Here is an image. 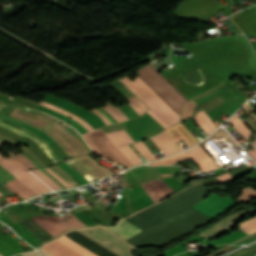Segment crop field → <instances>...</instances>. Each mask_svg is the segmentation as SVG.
Returning <instances> with one entry per match:
<instances>
[{
  "mask_svg": "<svg viewBox=\"0 0 256 256\" xmlns=\"http://www.w3.org/2000/svg\"><path fill=\"white\" fill-rule=\"evenodd\" d=\"M108 229L111 230L113 233L121 236L125 240H127V239H129V238H131V237H133V236L142 232L140 229L133 226L132 224H130L129 222H127L124 219L121 220L118 227L108 228Z\"/></svg>",
  "mask_w": 256,
  "mask_h": 256,
  "instance_id": "crop-field-12",
  "label": "crop field"
},
{
  "mask_svg": "<svg viewBox=\"0 0 256 256\" xmlns=\"http://www.w3.org/2000/svg\"><path fill=\"white\" fill-rule=\"evenodd\" d=\"M254 148L256 149V141L252 142Z\"/></svg>",
  "mask_w": 256,
  "mask_h": 256,
  "instance_id": "crop-field-33",
  "label": "crop field"
},
{
  "mask_svg": "<svg viewBox=\"0 0 256 256\" xmlns=\"http://www.w3.org/2000/svg\"><path fill=\"white\" fill-rule=\"evenodd\" d=\"M0 165L6 169L7 171L11 172L17 179L24 182L27 186L33 189L36 193L41 194L47 191H51V189L41 183L38 179H36L33 175L29 172H26L23 167L17 165L7 157L4 158L0 156ZM23 183V184H24Z\"/></svg>",
  "mask_w": 256,
  "mask_h": 256,
  "instance_id": "crop-field-4",
  "label": "crop field"
},
{
  "mask_svg": "<svg viewBox=\"0 0 256 256\" xmlns=\"http://www.w3.org/2000/svg\"><path fill=\"white\" fill-rule=\"evenodd\" d=\"M0 144H2V142H0Z\"/></svg>",
  "mask_w": 256,
  "mask_h": 256,
  "instance_id": "crop-field-34",
  "label": "crop field"
},
{
  "mask_svg": "<svg viewBox=\"0 0 256 256\" xmlns=\"http://www.w3.org/2000/svg\"><path fill=\"white\" fill-rule=\"evenodd\" d=\"M107 136L116 147L134 142L124 130L108 133Z\"/></svg>",
  "mask_w": 256,
  "mask_h": 256,
  "instance_id": "crop-field-14",
  "label": "crop field"
},
{
  "mask_svg": "<svg viewBox=\"0 0 256 256\" xmlns=\"http://www.w3.org/2000/svg\"><path fill=\"white\" fill-rule=\"evenodd\" d=\"M0 196H2V195L0 194Z\"/></svg>",
  "mask_w": 256,
  "mask_h": 256,
  "instance_id": "crop-field-36",
  "label": "crop field"
},
{
  "mask_svg": "<svg viewBox=\"0 0 256 256\" xmlns=\"http://www.w3.org/2000/svg\"><path fill=\"white\" fill-rule=\"evenodd\" d=\"M256 195V190L250 189L248 187L244 188L243 193L241 194L239 200H237L239 203L249 200L250 198L254 197Z\"/></svg>",
  "mask_w": 256,
  "mask_h": 256,
  "instance_id": "crop-field-26",
  "label": "crop field"
},
{
  "mask_svg": "<svg viewBox=\"0 0 256 256\" xmlns=\"http://www.w3.org/2000/svg\"><path fill=\"white\" fill-rule=\"evenodd\" d=\"M57 180H59L64 186L70 188L67 184H65L58 176H56L50 169L46 168Z\"/></svg>",
  "mask_w": 256,
  "mask_h": 256,
  "instance_id": "crop-field-30",
  "label": "crop field"
},
{
  "mask_svg": "<svg viewBox=\"0 0 256 256\" xmlns=\"http://www.w3.org/2000/svg\"><path fill=\"white\" fill-rule=\"evenodd\" d=\"M50 169L55 172L61 179H63L65 182H67L72 187L80 186L78 182H76L70 175H68L66 172H64L62 169H60L58 166L54 165L50 167Z\"/></svg>",
  "mask_w": 256,
  "mask_h": 256,
  "instance_id": "crop-field-18",
  "label": "crop field"
},
{
  "mask_svg": "<svg viewBox=\"0 0 256 256\" xmlns=\"http://www.w3.org/2000/svg\"><path fill=\"white\" fill-rule=\"evenodd\" d=\"M228 122L231 123L238 130V132L245 138V140H247L249 136L253 133L236 115L229 119Z\"/></svg>",
  "mask_w": 256,
  "mask_h": 256,
  "instance_id": "crop-field-15",
  "label": "crop field"
},
{
  "mask_svg": "<svg viewBox=\"0 0 256 256\" xmlns=\"http://www.w3.org/2000/svg\"><path fill=\"white\" fill-rule=\"evenodd\" d=\"M151 139L165 156L181 152L165 131L155 137H151Z\"/></svg>",
  "mask_w": 256,
  "mask_h": 256,
  "instance_id": "crop-field-9",
  "label": "crop field"
},
{
  "mask_svg": "<svg viewBox=\"0 0 256 256\" xmlns=\"http://www.w3.org/2000/svg\"><path fill=\"white\" fill-rule=\"evenodd\" d=\"M83 231L90 234L99 241L103 242L104 244L108 245L109 247L121 253L122 255L132 256L130 250L134 249L135 247L123 241L122 239L110 233L109 231L101 227L83 229Z\"/></svg>",
  "mask_w": 256,
  "mask_h": 256,
  "instance_id": "crop-field-5",
  "label": "crop field"
},
{
  "mask_svg": "<svg viewBox=\"0 0 256 256\" xmlns=\"http://www.w3.org/2000/svg\"><path fill=\"white\" fill-rule=\"evenodd\" d=\"M131 103L129 105L135 109L140 115L149 110L137 97L128 99Z\"/></svg>",
  "mask_w": 256,
  "mask_h": 256,
  "instance_id": "crop-field-23",
  "label": "crop field"
},
{
  "mask_svg": "<svg viewBox=\"0 0 256 256\" xmlns=\"http://www.w3.org/2000/svg\"><path fill=\"white\" fill-rule=\"evenodd\" d=\"M252 159L256 162V150H246Z\"/></svg>",
  "mask_w": 256,
  "mask_h": 256,
  "instance_id": "crop-field-29",
  "label": "crop field"
},
{
  "mask_svg": "<svg viewBox=\"0 0 256 256\" xmlns=\"http://www.w3.org/2000/svg\"><path fill=\"white\" fill-rule=\"evenodd\" d=\"M78 232H80L81 234L85 235L86 237L90 238L91 240L95 241L96 243L100 244L101 246H103L104 248L108 249L109 251L113 252L114 254L118 255V256H122L121 254L117 253L116 251L112 250L111 248L107 247L106 245H104L103 243L99 242L98 240L94 239L93 237L89 236L88 234H86L85 232L78 230Z\"/></svg>",
  "mask_w": 256,
  "mask_h": 256,
  "instance_id": "crop-field-27",
  "label": "crop field"
},
{
  "mask_svg": "<svg viewBox=\"0 0 256 256\" xmlns=\"http://www.w3.org/2000/svg\"><path fill=\"white\" fill-rule=\"evenodd\" d=\"M86 169H88L91 173H93L99 179L106 177L108 175L113 174V172L108 170V168H101L96 161L91 159L88 155L73 158Z\"/></svg>",
  "mask_w": 256,
  "mask_h": 256,
  "instance_id": "crop-field-11",
  "label": "crop field"
},
{
  "mask_svg": "<svg viewBox=\"0 0 256 256\" xmlns=\"http://www.w3.org/2000/svg\"><path fill=\"white\" fill-rule=\"evenodd\" d=\"M168 135L174 140L177 144L182 139L186 142V144L190 147L196 142H198L194 136L183 126L182 123L165 130ZM178 145V144H177ZM179 146V145H178ZM180 147V146H179ZM181 149V148H180ZM182 150V149H181ZM183 151V150H182Z\"/></svg>",
  "mask_w": 256,
  "mask_h": 256,
  "instance_id": "crop-field-10",
  "label": "crop field"
},
{
  "mask_svg": "<svg viewBox=\"0 0 256 256\" xmlns=\"http://www.w3.org/2000/svg\"><path fill=\"white\" fill-rule=\"evenodd\" d=\"M22 256H41L40 254L36 253V252H30V253H23L20 254Z\"/></svg>",
  "mask_w": 256,
  "mask_h": 256,
  "instance_id": "crop-field-31",
  "label": "crop field"
},
{
  "mask_svg": "<svg viewBox=\"0 0 256 256\" xmlns=\"http://www.w3.org/2000/svg\"><path fill=\"white\" fill-rule=\"evenodd\" d=\"M12 159L15 160L17 163L25 166L28 169L36 168V166L28 158L23 156L21 153L13 157Z\"/></svg>",
  "mask_w": 256,
  "mask_h": 256,
  "instance_id": "crop-field-24",
  "label": "crop field"
},
{
  "mask_svg": "<svg viewBox=\"0 0 256 256\" xmlns=\"http://www.w3.org/2000/svg\"><path fill=\"white\" fill-rule=\"evenodd\" d=\"M131 91H133L151 110L147 111L165 128L178 123L179 115L164 102L141 78L138 76L130 80L127 75L119 78Z\"/></svg>",
  "mask_w": 256,
  "mask_h": 256,
  "instance_id": "crop-field-1",
  "label": "crop field"
},
{
  "mask_svg": "<svg viewBox=\"0 0 256 256\" xmlns=\"http://www.w3.org/2000/svg\"><path fill=\"white\" fill-rule=\"evenodd\" d=\"M185 153L189 155L203 171L219 168V166L212 160L208 153L199 145Z\"/></svg>",
  "mask_w": 256,
  "mask_h": 256,
  "instance_id": "crop-field-7",
  "label": "crop field"
},
{
  "mask_svg": "<svg viewBox=\"0 0 256 256\" xmlns=\"http://www.w3.org/2000/svg\"><path fill=\"white\" fill-rule=\"evenodd\" d=\"M31 172L34 173L37 177H39L41 180H43L53 190L62 189L51 178H49L46 174L42 173L40 171V169L32 170Z\"/></svg>",
  "mask_w": 256,
  "mask_h": 256,
  "instance_id": "crop-field-20",
  "label": "crop field"
},
{
  "mask_svg": "<svg viewBox=\"0 0 256 256\" xmlns=\"http://www.w3.org/2000/svg\"><path fill=\"white\" fill-rule=\"evenodd\" d=\"M254 210L255 209L240 211V212H237L225 219H222V220L218 221L211 229H208V230L204 231L203 233H201V235L210 238V237L228 229L229 227L233 226V221L236 218L246 215Z\"/></svg>",
  "mask_w": 256,
  "mask_h": 256,
  "instance_id": "crop-field-8",
  "label": "crop field"
},
{
  "mask_svg": "<svg viewBox=\"0 0 256 256\" xmlns=\"http://www.w3.org/2000/svg\"><path fill=\"white\" fill-rule=\"evenodd\" d=\"M134 145L144 154L149 162L156 159L142 141L135 143Z\"/></svg>",
  "mask_w": 256,
  "mask_h": 256,
  "instance_id": "crop-field-25",
  "label": "crop field"
},
{
  "mask_svg": "<svg viewBox=\"0 0 256 256\" xmlns=\"http://www.w3.org/2000/svg\"><path fill=\"white\" fill-rule=\"evenodd\" d=\"M134 165L142 164L141 159L136 155V153L128 146H123L118 148Z\"/></svg>",
  "mask_w": 256,
  "mask_h": 256,
  "instance_id": "crop-field-19",
  "label": "crop field"
},
{
  "mask_svg": "<svg viewBox=\"0 0 256 256\" xmlns=\"http://www.w3.org/2000/svg\"><path fill=\"white\" fill-rule=\"evenodd\" d=\"M40 252H42V253H44V254H46L47 256H55V255H53V254H51L50 252H48L47 250H45V249H40L39 250Z\"/></svg>",
  "mask_w": 256,
  "mask_h": 256,
  "instance_id": "crop-field-32",
  "label": "crop field"
},
{
  "mask_svg": "<svg viewBox=\"0 0 256 256\" xmlns=\"http://www.w3.org/2000/svg\"><path fill=\"white\" fill-rule=\"evenodd\" d=\"M190 159L189 156H187L185 153L173 156V157H169L154 163H150V165H172L184 160Z\"/></svg>",
  "mask_w": 256,
  "mask_h": 256,
  "instance_id": "crop-field-16",
  "label": "crop field"
},
{
  "mask_svg": "<svg viewBox=\"0 0 256 256\" xmlns=\"http://www.w3.org/2000/svg\"><path fill=\"white\" fill-rule=\"evenodd\" d=\"M103 109L109 112L118 122L128 120L125 114L110 102H107V106L103 107Z\"/></svg>",
  "mask_w": 256,
  "mask_h": 256,
  "instance_id": "crop-field-17",
  "label": "crop field"
},
{
  "mask_svg": "<svg viewBox=\"0 0 256 256\" xmlns=\"http://www.w3.org/2000/svg\"><path fill=\"white\" fill-rule=\"evenodd\" d=\"M14 112L53 128L66 141H68L76 150H78L82 155L88 154V152L84 149V147L78 141H76L71 135H69L60 125L55 124V123L37 115V114H33V113H30V112H27V111H24V110H21V109H15ZM14 112H12L9 115L13 116V117H15V118H17V119H19L23 122H26V123L38 128V129L42 130V131L46 129L45 132H47L49 135H51L56 140V142L64 148V150L67 152L68 155H70V156L81 155L69 143H67L59 134H57L53 129H51L47 126H44L40 123H37L35 121H32L28 118H25L21 115H18Z\"/></svg>",
  "mask_w": 256,
  "mask_h": 256,
  "instance_id": "crop-field-2",
  "label": "crop field"
},
{
  "mask_svg": "<svg viewBox=\"0 0 256 256\" xmlns=\"http://www.w3.org/2000/svg\"><path fill=\"white\" fill-rule=\"evenodd\" d=\"M239 228L249 234L256 231V217L239 223Z\"/></svg>",
  "mask_w": 256,
  "mask_h": 256,
  "instance_id": "crop-field-21",
  "label": "crop field"
},
{
  "mask_svg": "<svg viewBox=\"0 0 256 256\" xmlns=\"http://www.w3.org/2000/svg\"><path fill=\"white\" fill-rule=\"evenodd\" d=\"M93 112L99 115L103 119V121L106 123V125L111 124V121L105 115H103L100 111L94 108Z\"/></svg>",
  "mask_w": 256,
  "mask_h": 256,
  "instance_id": "crop-field-28",
  "label": "crop field"
},
{
  "mask_svg": "<svg viewBox=\"0 0 256 256\" xmlns=\"http://www.w3.org/2000/svg\"><path fill=\"white\" fill-rule=\"evenodd\" d=\"M33 219L36 220L42 227H44L54 237L70 229V227H68L60 219L54 216H35L33 217Z\"/></svg>",
  "mask_w": 256,
  "mask_h": 256,
  "instance_id": "crop-field-6",
  "label": "crop field"
},
{
  "mask_svg": "<svg viewBox=\"0 0 256 256\" xmlns=\"http://www.w3.org/2000/svg\"><path fill=\"white\" fill-rule=\"evenodd\" d=\"M63 222H65L71 228H77L85 226L81 221H79L73 214L65 216V217H58Z\"/></svg>",
  "mask_w": 256,
  "mask_h": 256,
  "instance_id": "crop-field-22",
  "label": "crop field"
},
{
  "mask_svg": "<svg viewBox=\"0 0 256 256\" xmlns=\"http://www.w3.org/2000/svg\"><path fill=\"white\" fill-rule=\"evenodd\" d=\"M86 142L99 156L123 164L133 166L128 159L111 143L106 134L99 129L83 135Z\"/></svg>",
  "mask_w": 256,
  "mask_h": 256,
  "instance_id": "crop-field-3",
  "label": "crop field"
},
{
  "mask_svg": "<svg viewBox=\"0 0 256 256\" xmlns=\"http://www.w3.org/2000/svg\"><path fill=\"white\" fill-rule=\"evenodd\" d=\"M43 248L56 256H82L57 240L45 245Z\"/></svg>",
  "mask_w": 256,
  "mask_h": 256,
  "instance_id": "crop-field-13",
  "label": "crop field"
},
{
  "mask_svg": "<svg viewBox=\"0 0 256 256\" xmlns=\"http://www.w3.org/2000/svg\"><path fill=\"white\" fill-rule=\"evenodd\" d=\"M0 256H2V255L0 254Z\"/></svg>",
  "mask_w": 256,
  "mask_h": 256,
  "instance_id": "crop-field-35",
  "label": "crop field"
}]
</instances>
